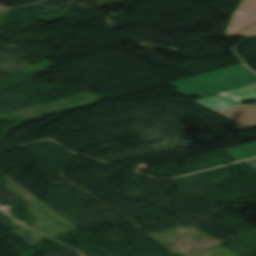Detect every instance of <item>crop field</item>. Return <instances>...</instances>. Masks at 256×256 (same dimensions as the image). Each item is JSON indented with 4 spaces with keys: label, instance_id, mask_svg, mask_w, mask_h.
I'll list each match as a JSON object with an SVG mask.
<instances>
[{
    "label": "crop field",
    "instance_id": "f4fd0767",
    "mask_svg": "<svg viewBox=\"0 0 256 256\" xmlns=\"http://www.w3.org/2000/svg\"><path fill=\"white\" fill-rule=\"evenodd\" d=\"M230 98L242 101V100H256V86H250L235 91L224 93Z\"/></svg>",
    "mask_w": 256,
    "mask_h": 256
},
{
    "label": "crop field",
    "instance_id": "34b2d1b8",
    "mask_svg": "<svg viewBox=\"0 0 256 256\" xmlns=\"http://www.w3.org/2000/svg\"><path fill=\"white\" fill-rule=\"evenodd\" d=\"M196 102L214 112L242 105L241 102L239 101H236L227 97H223L220 95L206 98Z\"/></svg>",
    "mask_w": 256,
    "mask_h": 256
},
{
    "label": "crop field",
    "instance_id": "412701ff",
    "mask_svg": "<svg viewBox=\"0 0 256 256\" xmlns=\"http://www.w3.org/2000/svg\"><path fill=\"white\" fill-rule=\"evenodd\" d=\"M254 22H256V17L233 15L226 34L234 36Z\"/></svg>",
    "mask_w": 256,
    "mask_h": 256
},
{
    "label": "crop field",
    "instance_id": "8a807250",
    "mask_svg": "<svg viewBox=\"0 0 256 256\" xmlns=\"http://www.w3.org/2000/svg\"><path fill=\"white\" fill-rule=\"evenodd\" d=\"M254 83H256V74L241 64L170 84L178 87L177 91L186 96L198 95L204 97L250 86Z\"/></svg>",
    "mask_w": 256,
    "mask_h": 256
},
{
    "label": "crop field",
    "instance_id": "e52e79f7",
    "mask_svg": "<svg viewBox=\"0 0 256 256\" xmlns=\"http://www.w3.org/2000/svg\"><path fill=\"white\" fill-rule=\"evenodd\" d=\"M239 35L248 36V37L256 36V24L254 26L250 27L249 29H247L246 31L242 32Z\"/></svg>",
    "mask_w": 256,
    "mask_h": 256
},
{
    "label": "crop field",
    "instance_id": "dd49c442",
    "mask_svg": "<svg viewBox=\"0 0 256 256\" xmlns=\"http://www.w3.org/2000/svg\"><path fill=\"white\" fill-rule=\"evenodd\" d=\"M234 14L256 16V0H243Z\"/></svg>",
    "mask_w": 256,
    "mask_h": 256
},
{
    "label": "crop field",
    "instance_id": "5a996713",
    "mask_svg": "<svg viewBox=\"0 0 256 256\" xmlns=\"http://www.w3.org/2000/svg\"><path fill=\"white\" fill-rule=\"evenodd\" d=\"M246 162L256 169V159L250 160V161H246Z\"/></svg>",
    "mask_w": 256,
    "mask_h": 256
},
{
    "label": "crop field",
    "instance_id": "d8731c3e",
    "mask_svg": "<svg viewBox=\"0 0 256 256\" xmlns=\"http://www.w3.org/2000/svg\"><path fill=\"white\" fill-rule=\"evenodd\" d=\"M256 126V120L235 125L234 127L238 130Z\"/></svg>",
    "mask_w": 256,
    "mask_h": 256
},
{
    "label": "crop field",
    "instance_id": "ac0d7876",
    "mask_svg": "<svg viewBox=\"0 0 256 256\" xmlns=\"http://www.w3.org/2000/svg\"><path fill=\"white\" fill-rule=\"evenodd\" d=\"M217 113L224 115L233 123L238 124L256 119V105L241 106Z\"/></svg>",
    "mask_w": 256,
    "mask_h": 256
}]
</instances>
